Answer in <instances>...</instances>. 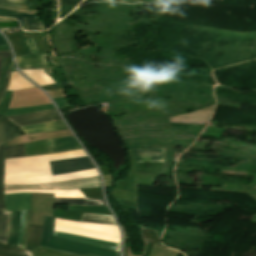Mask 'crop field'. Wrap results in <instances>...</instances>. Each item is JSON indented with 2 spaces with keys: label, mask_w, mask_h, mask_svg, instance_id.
Wrapping results in <instances>:
<instances>
[{
  "label": "crop field",
  "mask_w": 256,
  "mask_h": 256,
  "mask_svg": "<svg viewBox=\"0 0 256 256\" xmlns=\"http://www.w3.org/2000/svg\"><path fill=\"white\" fill-rule=\"evenodd\" d=\"M25 134L29 133H39V132H49V131H57V130H65L67 129L66 126L63 124L62 121L59 122H52V123H44L38 125H31L21 127Z\"/></svg>",
  "instance_id": "28ad6ade"
},
{
  "label": "crop field",
  "mask_w": 256,
  "mask_h": 256,
  "mask_svg": "<svg viewBox=\"0 0 256 256\" xmlns=\"http://www.w3.org/2000/svg\"><path fill=\"white\" fill-rule=\"evenodd\" d=\"M54 101L57 104L58 108L70 106L66 100V97L56 98V99H54Z\"/></svg>",
  "instance_id": "750c4746"
},
{
  "label": "crop field",
  "mask_w": 256,
  "mask_h": 256,
  "mask_svg": "<svg viewBox=\"0 0 256 256\" xmlns=\"http://www.w3.org/2000/svg\"><path fill=\"white\" fill-rule=\"evenodd\" d=\"M15 1H20V2H23V0H15Z\"/></svg>",
  "instance_id": "0bd39190"
},
{
  "label": "crop field",
  "mask_w": 256,
  "mask_h": 256,
  "mask_svg": "<svg viewBox=\"0 0 256 256\" xmlns=\"http://www.w3.org/2000/svg\"><path fill=\"white\" fill-rule=\"evenodd\" d=\"M0 16H2V17H13V18L36 19L34 16H30V15L22 14V13H16V12L7 11V10H1V9H0Z\"/></svg>",
  "instance_id": "eef30255"
},
{
  "label": "crop field",
  "mask_w": 256,
  "mask_h": 256,
  "mask_svg": "<svg viewBox=\"0 0 256 256\" xmlns=\"http://www.w3.org/2000/svg\"><path fill=\"white\" fill-rule=\"evenodd\" d=\"M0 45H7L2 36H0Z\"/></svg>",
  "instance_id": "5866460e"
},
{
  "label": "crop field",
  "mask_w": 256,
  "mask_h": 256,
  "mask_svg": "<svg viewBox=\"0 0 256 256\" xmlns=\"http://www.w3.org/2000/svg\"><path fill=\"white\" fill-rule=\"evenodd\" d=\"M2 182H3V145L0 146V208H5Z\"/></svg>",
  "instance_id": "4177f3b9"
},
{
  "label": "crop field",
  "mask_w": 256,
  "mask_h": 256,
  "mask_svg": "<svg viewBox=\"0 0 256 256\" xmlns=\"http://www.w3.org/2000/svg\"><path fill=\"white\" fill-rule=\"evenodd\" d=\"M24 156L23 144L5 147V158Z\"/></svg>",
  "instance_id": "00972430"
},
{
  "label": "crop field",
  "mask_w": 256,
  "mask_h": 256,
  "mask_svg": "<svg viewBox=\"0 0 256 256\" xmlns=\"http://www.w3.org/2000/svg\"><path fill=\"white\" fill-rule=\"evenodd\" d=\"M143 235L145 242L158 245L159 238L155 230L143 228Z\"/></svg>",
  "instance_id": "a9b5d70f"
},
{
  "label": "crop field",
  "mask_w": 256,
  "mask_h": 256,
  "mask_svg": "<svg viewBox=\"0 0 256 256\" xmlns=\"http://www.w3.org/2000/svg\"><path fill=\"white\" fill-rule=\"evenodd\" d=\"M25 214H26V211H22L21 220H20V227H19L18 243H17V246H19V247H21V244H22Z\"/></svg>",
  "instance_id": "ae1a2a85"
},
{
  "label": "crop field",
  "mask_w": 256,
  "mask_h": 256,
  "mask_svg": "<svg viewBox=\"0 0 256 256\" xmlns=\"http://www.w3.org/2000/svg\"><path fill=\"white\" fill-rule=\"evenodd\" d=\"M54 203L71 205L106 206L103 199H65L54 198Z\"/></svg>",
  "instance_id": "cbeb9de0"
},
{
  "label": "crop field",
  "mask_w": 256,
  "mask_h": 256,
  "mask_svg": "<svg viewBox=\"0 0 256 256\" xmlns=\"http://www.w3.org/2000/svg\"><path fill=\"white\" fill-rule=\"evenodd\" d=\"M0 57H10V52H0Z\"/></svg>",
  "instance_id": "d32e631a"
},
{
  "label": "crop field",
  "mask_w": 256,
  "mask_h": 256,
  "mask_svg": "<svg viewBox=\"0 0 256 256\" xmlns=\"http://www.w3.org/2000/svg\"><path fill=\"white\" fill-rule=\"evenodd\" d=\"M6 58H3L2 69H5Z\"/></svg>",
  "instance_id": "028f5c9d"
},
{
  "label": "crop field",
  "mask_w": 256,
  "mask_h": 256,
  "mask_svg": "<svg viewBox=\"0 0 256 256\" xmlns=\"http://www.w3.org/2000/svg\"><path fill=\"white\" fill-rule=\"evenodd\" d=\"M20 214H21V211H17V212H12V215H11L10 230H9V237H8L7 243L15 246L17 243Z\"/></svg>",
  "instance_id": "d9b57169"
},
{
  "label": "crop field",
  "mask_w": 256,
  "mask_h": 256,
  "mask_svg": "<svg viewBox=\"0 0 256 256\" xmlns=\"http://www.w3.org/2000/svg\"><path fill=\"white\" fill-rule=\"evenodd\" d=\"M42 225H30L28 238H27V247L28 249H38L40 235H41Z\"/></svg>",
  "instance_id": "5142ce71"
},
{
  "label": "crop field",
  "mask_w": 256,
  "mask_h": 256,
  "mask_svg": "<svg viewBox=\"0 0 256 256\" xmlns=\"http://www.w3.org/2000/svg\"><path fill=\"white\" fill-rule=\"evenodd\" d=\"M6 118L18 126L60 120L55 110L36 112L27 115L9 116Z\"/></svg>",
  "instance_id": "dd49c442"
},
{
  "label": "crop field",
  "mask_w": 256,
  "mask_h": 256,
  "mask_svg": "<svg viewBox=\"0 0 256 256\" xmlns=\"http://www.w3.org/2000/svg\"><path fill=\"white\" fill-rule=\"evenodd\" d=\"M80 221L117 225L112 216L100 214L83 213Z\"/></svg>",
  "instance_id": "214f88e0"
},
{
  "label": "crop field",
  "mask_w": 256,
  "mask_h": 256,
  "mask_svg": "<svg viewBox=\"0 0 256 256\" xmlns=\"http://www.w3.org/2000/svg\"><path fill=\"white\" fill-rule=\"evenodd\" d=\"M32 86L34 85H32L29 81L22 77L18 71H14L11 72V79L7 90L23 89Z\"/></svg>",
  "instance_id": "733c2abd"
},
{
  "label": "crop field",
  "mask_w": 256,
  "mask_h": 256,
  "mask_svg": "<svg viewBox=\"0 0 256 256\" xmlns=\"http://www.w3.org/2000/svg\"><path fill=\"white\" fill-rule=\"evenodd\" d=\"M49 163L53 175L94 167L88 157L53 161Z\"/></svg>",
  "instance_id": "f4fd0767"
},
{
  "label": "crop field",
  "mask_w": 256,
  "mask_h": 256,
  "mask_svg": "<svg viewBox=\"0 0 256 256\" xmlns=\"http://www.w3.org/2000/svg\"><path fill=\"white\" fill-rule=\"evenodd\" d=\"M0 256H31L29 251L0 244Z\"/></svg>",
  "instance_id": "dafd665d"
},
{
  "label": "crop field",
  "mask_w": 256,
  "mask_h": 256,
  "mask_svg": "<svg viewBox=\"0 0 256 256\" xmlns=\"http://www.w3.org/2000/svg\"><path fill=\"white\" fill-rule=\"evenodd\" d=\"M86 156L83 149L40 156L5 159L4 184H40L98 175L95 169L52 176L48 161Z\"/></svg>",
  "instance_id": "8a807250"
},
{
  "label": "crop field",
  "mask_w": 256,
  "mask_h": 256,
  "mask_svg": "<svg viewBox=\"0 0 256 256\" xmlns=\"http://www.w3.org/2000/svg\"><path fill=\"white\" fill-rule=\"evenodd\" d=\"M51 152H65L80 149V145L73 137L48 140Z\"/></svg>",
  "instance_id": "5a996713"
},
{
  "label": "crop field",
  "mask_w": 256,
  "mask_h": 256,
  "mask_svg": "<svg viewBox=\"0 0 256 256\" xmlns=\"http://www.w3.org/2000/svg\"><path fill=\"white\" fill-rule=\"evenodd\" d=\"M0 64H1V58H0Z\"/></svg>",
  "instance_id": "b80d0937"
},
{
  "label": "crop field",
  "mask_w": 256,
  "mask_h": 256,
  "mask_svg": "<svg viewBox=\"0 0 256 256\" xmlns=\"http://www.w3.org/2000/svg\"><path fill=\"white\" fill-rule=\"evenodd\" d=\"M8 78H9V70L6 71V77H5L4 85H3L2 91L0 93V100H1V98L4 94V92H5L6 87H7Z\"/></svg>",
  "instance_id": "1d83c4d3"
},
{
  "label": "crop field",
  "mask_w": 256,
  "mask_h": 256,
  "mask_svg": "<svg viewBox=\"0 0 256 256\" xmlns=\"http://www.w3.org/2000/svg\"><path fill=\"white\" fill-rule=\"evenodd\" d=\"M22 71L40 86L55 83L49 76L45 74L44 70H22Z\"/></svg>",
  "instance_id": "4a817a6b"
},
{
  "label": "crop field",
  "mask_w": 256,
  "mask_h": 256,
  "mask_svg": "<svg viewBox=\"0 0 256 256\" xmlns=\"http://www.w3.org/2000/svg\"><path fill=\"white\" fill-rule=\"evenodd\" d=\"M85 187H101L99 177L60 181L41 185H4V191L19 189H68Z\"/></svg>",
  "instance_id": "34b2d1b8"
},
{
  "label": "crop field",
  "mask_w": 256,
  "mask_h": 256,
  "mask_svg": "<svg viewBox=\"0 0 256 256\" xmlns=\"http://www.w3.org/2000/svg\"><path fill=\"white\" fill-rule=\"evenodd\" d=\"M54 235L63 237V238H67V239H71V240H75V241H79V242H83V243H87V244H91V245L104 247V248H107V249H110L113 251H119V247H120V244H117V243L103 242V241L89 239V238L71 235V234L54 232Z\"/></svg>",
  "instance_id": "3316defc"
},
{
  "label": "crop field",
  "mask_w": 256,
  "mask_h": 256,
  "mask_svg": "<svg viewBox=\"0 0 256 256\" xmlns=\"http://www.w3.org/2000/svg\"><path fill=\"white\" fill-rule=\"evenodd\" d=\"M54 231L72 233V234L83 235V236H87L95 239H102V240H108V241L120 243V238L100 235V234H96V233H92L84 230L55 226Z\"/></svg>",
  "instance_id": "22f410ed"
},
{
  "label": "crop field",
  "mask_w": 256,
  "mask_h": 256,
  "mask_svg": "<svg viewBox=\"0 0 256 256\" xmlns=\"http://www.w3.org/2000/svg\"><path fill=\"white\" fill-rule=\"evenodd\" d=\"M0 8L7 9V10H13V11H17V12H22V13H29V14H32L35 12L34 10L21 9V8L10 7V6H5V5H0Z\"/></svg>",
  "instance_id": "d3111659"
},
{
  "label": "crop field",
  "mask_w": 256,
  "mask_h": 256,
  "mask_svg": "<svg viewBox=\"0 0 256 256\" xmlns=\"http://www.w3.org/2000/svg\"><path fill=\"white\" fill-rule=\"evenodd\" d=\"M47 54H29L25 56H19L17 58V62L20 69L23 68H46Z\"/></svg>",
  "instance_id": "d8731c3e"
},
{
  "label": "crop field",
  "mask_w": 256,
  "mask_h": 256,
  "mask_svg": "<svg viewBox=\"0 0 256 256\" xmlns=\"http://www.w3.org/2000/svg\"><path fill=\"white\" fill-rule=\"evenodd\" d=\"M0 21H12V20L0 18ZM14 21H15V20H14Z\"/></svg>",
  "instance_id": "e1f06a70"
},
{
  "label": "crop field",
  "mask_w": 256,
  "mask_h": 256,
  "mask_svg": "<svg viewBox=\"0 0 256 256\" xmlns=\"http://www.w3.org/2000/svg\"><path fill=\"white\" fill-rule=\"evenodd\" d=\"M136 162H164L165 148L131 149Z\"/></svg>",
  "instance_id": "e52e79f7"
},
{
  "label": "crop field",
  "mask_w": 256,
  "mask_h": 256,
  "mask_svg": "<svg viewBox=\"0 0 256 256\" xmlns=\"http://www.w3.org/2000/svg\"><path fill=\"white\" fill-rule=\"evenodd\" d=\"M19 135H22V132L18 127L0 117V145Z\"/></svg>",
  "instance_id": "d1516ede"
},
{
  "label": "crop field",
  "mask_w": 256,
  "mask_h": 256,
  "mask_svg": "<svg viewBox=\"0 0 256 256\" xmlns=\"http://www.w3.org/2000/svg\"><path fill=\"white\" fill-rule=\"evenodd\" d=\"M51 109H54L52 104L42 105V106H33V107H24V108L7 109L4 116L27 114V113H31V112L51 110Z\"/></svg>",
  "instance_id": "bc2a9ffb"
},
{
  "label": "crop field",
  "mask_w": 256,
  "mask_h": 256,
  "mask_svg": "<svg viewBox=\"0 0 256 256\" xmlns=\"http://www.w3.org/2000/svg\"><path fill=\"white\" fill-rule=\"evenodd\" d=\"M4 74H5V71H1V78H0V90H1L2 85H3V81H4Z\"/></svg>",
  "instance_id": "120bbe31"
},
{
  "label": "crop field",
  "mask_w": 256,
  "mask_h": 256,
  "mask_svg": "<svg viewBox=\"0 0 256 256\" xmlns=\"http://www.w3.org/2000/svg\"><path fill=\"white\" fill-rule=\"evenodd\" d=\"M0 3L10 4V5H16V6H22V7H26V8H28L24 3L15 2V1L0 0Z\"/></svg>",
  "instance_id": "bd1437ed"
},
{
  "label": "crop field",
  "mask_w": 256,
  "mask_h": 256,
  "mask_svg": "<svg viewBox=\"0 0 256 256\" xmlns=\"http://www.w3.org/2000/svg\"><path fill=\"white\" fill-rule=\"evenodd\" d=\"M25 30H45L39 20H27L25 19Z\"/></svg>",
  "instance_id": "730fd06b"
},
{
  "label": "crop field",
  "mask_w": 256,
  "mask_h": 256,
  "mask_svg": "<svg viewBox=\"0 0 256 256\" xmlns=\"http://www.w3.org/2000/svg\"><path fill=\"white\" fill-rule=\"evenodd\" d=\"M54 218L43 216V230L41 236V246H45L57 251L75 254L79 256H119L118 252H112L94 246L73 242L52 236Z\"/></svg>",
  "instance_id": "ac0d7876"
},
{
  "label": "crop field",
  "mask_w": 256,
  "mask_h": 256,
  "mask_svg": "<svg viewBox=\"0 0 256 256\" xmlns=\"http://www.w3.org/2000/svg\"><path fill=\"white\" fill-rule=\"evenodd\" d=\"M10 215L11 212H5V209L0 210V241L5 243L7 240Z\"/></svg>",
  "instance_id": "92a150f3"
},
{
  "label": "crop field",
  "mask_w": 256,
  "mask_h": 256,
  "mask_svg": "<svg viewBox=\"0 0 256 256\" xmlns=\"http://www.w3.org/2000/svg\"><path fill=\"white\" fill-rule=\"evenodd\" d=\"M6 211L30 210L31 193L4 195ZM30 211H27L22 247L26 246V237L29 226Z\"/></svg>",
  "instance_id": "412701ff"
}]
</instances>
